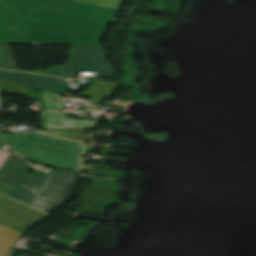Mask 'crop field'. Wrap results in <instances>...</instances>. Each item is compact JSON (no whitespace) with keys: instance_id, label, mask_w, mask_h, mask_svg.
I'll return each mask as SVG.
<instances>
[{"instance_id":"obj_16","label":"crop field","mask_w":256,"mask_h":256,"mask_svg":"<svg viewBox=\"0 0 256 256\" xmlns=\"http://www.w3.org/2000/svg\"><path fill=\"white\" fill-rule=\"evenodd\" d=\"M10 152L0 150V165L4 162V160L8 157Z\"/></svg>"},{"instance_id":"obj_11","label":"crop field","mask_w":256,"mask_h":256,"mask_svg":"<svg viewBox=\"0 0 256 256\" xmlns=\"http://www.w3.org/2000/svg\"><path fill=\"white\" fill-rule=\"evenodd\" d=\"M119 84L98 80L97 86L91 85L90 91H83L80 95L91 97V101L102 102L104 96L110 97L114 88H118Z\"/></svg>"},{"instance_id":"obj_5","label":"crop field","mask_w":256,"mask_h":256,"mask_svg":"<svg viewBox=\"0 0 256 256\" xmlns=\"http://www.w3.org/2000/svg\"><path fill=\"white\" fill-rule=\"evenodd\" d=\"M0 77L11 79L22 84L43 88L60 94H65L69 86V82H65V80L62 79L25 73L0 71Z\"/></svg>"},{"instance_id":"obj_9","label":"crop field","mask_w":256,"mask_h":256,"mask_svg":"<svg viewBox=\"0 0 256 256\" xmlns=\"http://www.w3.org/2000/svg\"><path fill=\"white\" fill-rule=\"evenodd\" d=\"M0 41L21 42L9 7L0 6Z\"/></svg>"},{"instance_id":"obj_1","label":"crop field","mask_w":256,"mask_h":256,"mask_svg":"<svg viewBox=\"0 0 256 256\" xmlns=\"http://www.w3.org/2000/svg\"><path fill=\"white\" fill-rule=\"evenodd\" d=\"M10 6L21 41L100 44L118 9L71 0H0Z\"/></svg>"},{"instance_id":"obj_6","label":"crop field","mask_w":256,"mask_h":256,"mask_svg":"<svg viewBox=\"0 0 256 256\" xmlns=\"http://www.w3.org/2000/svg\"><path fill=\"white\" fill-rule=\"evenodd\" d=\"M44 129L99 128L100 121L67 119L66 112H40Z\"/></svg>"},{"instance_id":"obj_15","label":"crop field","mask_w":256,"mask_h":256,"mask_svg":"<svg viewBox=\"0 0 256 256\" xmlns=\"http://www.w3.org/2000/svg\"><path fill=\"white\" fill-rule=\"evenodd\" d=\"M18 185L0 181V193L6 195L16 189Z\"/></svg>"},{"instance_id":"obj_2","label":"crop field","mask_w":256,"mask_h":256,"mask_svg":"<svg viewBox=\"0 0 256 256\" xmlns=\"http://www.w3.org/2000/svg\"><path fill=\"white\" fill-rule=\"evenodd\" d=\"M3 143L25 159L73 171H78L80 167L82 145L76 142L40 133L32 137L17 133Z\"/></svg>"},{"instance_id":"obj_10","label":"crop field","mask_w":256,"mask_h":256,"mask_svg":"<svg viewBox=\"0 0 256 256\" xmlns=\"http://www.w3.org/2000/svg\"><path fill=\"white\" fill-rule=\"evenodd\" d=\"M105 61L101 46H72L68 63Z\"/></svg>"},{"instance_id":"obj_13","label":"crop field","mask_w":256,"mask_h":256,"mask_svg":"<svg viewBox=\"0 0 256 256\" xmlns=\"http://www.w3.org/2000/svg\"><path fill=\"white\" fill-rule=\"evenodd\" d=\"M0 69L15 70L7 44H0Z\"/></svg>"},{"instance_id":"obj_8","label":"crop field","mask_w":256,"mask_h":256,"mask_svg":"<svg viewBox=\"0 0 256 256\" xmlns=\"http://www.w3.org/2000/svg\"><path fill=\"white\" fill-rule=\"evenodd\" d=\"M31 168L13 152L0 167V180L21 185L30 175L27 172Z\"/></svg>"},{"instance_id":"obj_3","label":"crop field","mask_w":256,"mask_h":256,"mask_svg":"<svg viewBox=\"0 0 256 256\" xmlns=\"http://www.w3.org/2000/svg\"><path fill=\"white\" fill-rule=\"evenodd\" d=\"M75 177L76 173L68 171L48 172L30 178L26 188L20 186L8 196L49 214L71 200Z\"/></svg>"},{"instance_id":"obj_4","label":"crop field","mask_w":256,"mask_h":256,"mask_svg":"<svg viewBox=\"0 0 256 256\" xmlns=\"http://www.w3.org/2000/svg\"><path fill=\"white\" fill-rule=\"evenodd\" d=\"M45 216L0 195V256H6L21 233Z\"/></svg>"},{"instance_id":"obj_7","label":"crop field","mask_w":256,"mask_h":256,"mask_svg":"<svg viewBox=\"0 0 256 256\" xmlns=\"http://www.w3.org/2000/svg\"><path fill=\"white\" fill-rule=\"evenodd\" d=\"M111 64L108 62H95V63H79L70 64V66L50 67L46 72L34 71L38 73L73 78L74 74L78 71H97V75L112 77L115 70L110 69Z\"/></svg>"},{"instance_id":"obj_12","label":"crop field","mask_w":256,"mask_h":256,"mask_svg":"<svg viewBox=\"0 0 256 256\" xmlns=\"http://www.w3.org/2000/svg\"><path fill=\"white\" fill-rule=\"evenodd\" d=\"M47 110H65L59 94L43 91Z\"/></svg>"},{"instance_id":"obj_14","label":"crop field","mask_w":256,"mask_h":256,"mask_svg":"<svg viewBox=\"0 0 256 256\" xmlns=\"http://www.w3.org/2000/svg\"><path fill=\"white\" fill-rule=\"evenodd\" d=\"M80 1L91 2V3L113 6V7H118L119 4L121 3V0H80Z\"/></svg>"}]
</instances>
